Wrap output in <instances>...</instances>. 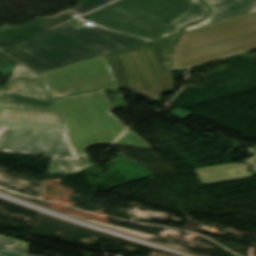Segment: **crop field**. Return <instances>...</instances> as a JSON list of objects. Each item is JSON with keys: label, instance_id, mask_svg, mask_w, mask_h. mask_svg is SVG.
Here are the masks:
<instances>
[{"label": "crop field", "instance_id": "12", "mask_svg": "<svg viewBox=\"0 0 256 256\" xmlns=\"http://www.w3.org/2000/svg\"><path fill=\"white\" fill-rule=\"evenodd\" d=\"M28 243L0 236V252L26 254Z\"/></svg>", "mask_w": 256, "mask_h": 256}, {"label": "crop field", "instance_id": "4", "mask_svg": "<svg viewBox=\"0 0 256 256\" xmlns=\"http://www.w3.org/2000/svg\"><path fill=\"white\" fill-rule=\"evenodd\" d=\"M0 126L63 128L39 74L20 63L0 91Z\"/></svg>", "mask_w": 256, "mask_h": 256}, {"label": "crop field", "instance_id": "10", "mask_svg": "<svg viewBox=\"0 0 256 256\" xmlns=\"http://www.w3.org/2000/svg\"><path fill=\"white\" fill-rule=\"evenodd\" d=\"M246 165L234 163L196 170L203 185L254 177L253 173L246 171Z\"/></svg>", "mask_w": 256, "mask_h": 256}, {"label": "crop field", "instance_id": "17", "mask_svg": "<svg viewBox=\"0 0 256 256\" xmlns=\"http://www.w3.org/2000/svg\"><path fill=\"white\" fill-rule=\"evenodd\" d=\"M83 152H84V151H83ZM78 158H79V162H80V164H81V167H84V166H87V165L90 164V163H89V160H88V158H87L86 152H84V153L78 155Z\"/></svg>", "mask_w": 256, "mask_h": 256}, {"label": "crop field", "instance_id": "16", "mask_svg": "<svg viewBox=\"0 0 256 256\" xmlns=\"http://www.w3.org/2000/svg\"><path fill=\"white\" fill-rule=\"evenodd\" d=\"M19 62L0 52V71L9 75Z\"/></svg>", "mask_w": 256, "mask_h": 256}, {"label": "crop field", "instance_id": "18", "mask_svg": "<svg viewBox=\"0 0 256 256\" xmlns=\"http://www.w3.org/2000/svg\"><path fill=\"white\" fill-rule=\"evenodd\" d=\"M247 151H248V153L254 154L253 151L251 150V148H248ZM255 156H256V155L254 154V157H255ZM254 157L248 159L247 162H248L249 164L253 165L254 167H253L252 169H253L254 171H256V162L253 160Z\"/></svg>", "mask_w": 256, "mask_h": 256}, {"label": "crop field", "instance_id": "2", "mask_svg": "<svg viewBox=\"0 0 256 256\" xmlns=\"http://www.w3.org/2000/svg\"><path fill=\"white\" fill-rule=\"evenodd\" d=\"M256 47V12L184 33L175 49L174 70Z\"/></svg>", "mask_w": 256, "mask_h": 256}, {"label": "crop field", "instance_id": "9", "mask_svg": "<svg viewBox=\"0 0 256 256\" xmlns=\"http://www.w3.org/2000/svg\"><path fill=\"white\" fill-rule=\"evenodd\" d=\"M212 11L203 22L184 28V32L213 24L235 16L256 11L253 0H203Z\"/></svg>", "mask_w": 256, "mask_h": 256}, {"label": "crop field", "instance_id": "6", "mask_svg": "<svg viewBox=\"0 0 256 256\" xmlns=\"http://www.w3.org/2000/svg\"><path fill=\"white\" fill-rule=\"evenodd\" d=\"M166 41L164 38L105 55L120 89L158 100L173 87L174 79L154 45Z\"/></svg>", "mask_w": 256, "mask_h": 256}, {"label": "crop field", "instance_id": "21", "mask_svg": "<svg viewBox=\"0 0 256 256\" xmlns=\"http://www.w3.org/2000/svg\"><path fill=\"white\" fill-rule=\"evenodd\" d=\"M28 256V255H27Z\"/></svg>", "mask_w": 256, "mask_h": 256}, {"label": "crop field", "instance_id": "5", "mask_svg": "<svg viewBox=\"0 0 256 256\" xmlns=\"http://www.w3.org/2000/svg\"><path fill=\"white\" fill-rule=\"evenodd\" d=\"M189 5L190 0H119L84 17L108 28L156 40Z\"/></svg>", "mask_w": 256, "mask_h": 256}, {"label": "crop field", "instance_id": "1", "mask_svg": "<svg viewBox=\"0 0 256 256\" xmlns=\"http://www.w3.org/2000/svg\"><path fill=\"white\" fill-rule=\"evenodd\" d=\"M75 14L66 10L21 27L4 25L0 28V51L40 73L151 41L111 31L99 24L79 28L68 21L16 44Z\"/></svg>", "mask_w": 256, "mask_h": 256}, {"label": "crop field", "instance_id": "20", "mask_svg": "<svg viewBox=\"0 0 256 256\" xmlns=\"http://www.w3.org/2000/svg\"><path fill=\"white\" fill-rule=\"evenodd\" d=\"M252 150L255 152V154H256V146H254L253 148H252ZM255 159V161H256V157L254 158Z\"/></svg>", "mask_w": 256, "mask_h": 256}, {"label": "crop field", "instance_id": "11", "mask_svg": "<svg viewBox=\"0 0 256 256\" xmlns=\"http://www.w3.org/2000/svg\"><path fill=\"white\" fill-rule=\"evenodd\" d=\"M208 9L198 0H192L190 9L180 15L176 20L169 24L162 37L176 34L180 32L181 28L191 22L201 20L207 13Z\"/></svg>", "mask_w": 256, "mask_h": 256}, {"label": "crop field", "instance_id": "19", "mask_svg": "<svg viewBox=\"0 0 256 256\" xmlns=\"http://www.w3.org/2000/svg\"><path fill=\"white\" fill-rule=\"evenodd\" d=\"M0 256H26V255H20V254H8V253H0Z\"/></svg>", "mask_w": 256, "mask_h": 256}, {"label": "crop field", "instance_id": "8", "mask_svg": "<svg viewBox=\"0 0 256 256\" xmlns=\"http://www.w3.org/2000/svg\"><path fill=\"white\" fill-rule=\"evenodd\" d=\"M53 98L102 89H119L105 56L40 73Z\"/></svg>", "mask_w": 256, "mask_h": 256}, {"label": "crop field", "instance_id": "3", "mask_svg": "<svg viewBox=\"0 0 256 256\" xmlns=\"http://www.w3.org/2000/svg\"><path fill=\"white\" fill-rule=\"evenodd\" d=\"M69 139L80 154L91 145L109 144L127 128L107 110H113L105 92L54 100Z\"/></svg>", "mask_w": 256, "mask_h": 256}, {"label": "crop field", "instance_id": "13", "mask_svg": "<svg viewBox=\"0 0 256 256\" xmlns=\"http://www.w3.org/2000/svg\"><path fill=\"white\" fill-rule=\"evenodd\" d=\"M115 144L150 149L148 145H146L140 138H138L129 129Z\"/></svg>", "mask_w": 256, "mask_h": 256}, {"label": "crop field", "instance_id": "7", "mask_svg": "<svg viewBox=\"0 0 256 256\" xmlns=\"http://www.w3.org/2000/svg\"><path fill=\"white\" fill-rule=\"evenodd\" d=\"M0 152L51 156L48 173L81 169L65 129L0 127Z\"/></svg>", "mask_w": 256, "mask_h": 256}, {"label": "crop field", "instance_id": "14", "mask_svg": "<svg viewBox=\"0 0 256 256\" xmlns=\"http://www.w3.org/2000/svg\"><path fill=\"white\" fill-rule=\"evenodd\" d=\"M114 0H80L79 7L74 9L80 16L97 8L105 5Z\"/></svg>", "mask_w": 256, "mask_h": 256}, {"label": "crop field", "instance_id": "15", "mask_svg": "<svg viewBox=\"0 0 256 256\" xmlns=\"http://www.w3.org/2000/svg\"><path fill=\"white\" fill-rule=\"evenodd\" d=\"M178 36H179V34L171 36V37H167L169 42L156 45L157 49L159 50L161 56L163 57L165 63L167 64L168 68H169V63H170V59H171V50H172L174 43Z\"/></svg>", "mask_w": 256, "mask_h": 256}]
</instances>
